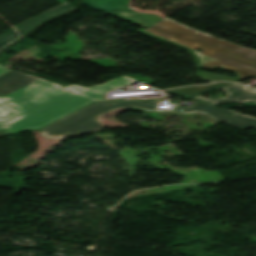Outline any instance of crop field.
Here are the masks:
<instances>
[{
	"label": "crop field",
	"instance_id": "3316defc",
	"mask_svg": "<svg viewBox=\"0 0 256 256\" xmlns=\"http://www.w3.org/2000/svg\"><path fill=\"white\" fill-rule=\"evenodd\" d=\"M6 137L4 131H0V138Z\"/></svg>",
	"mask_w": 256,
	"mask_h": 256
},
{
	"label": "crop field",
	"instance_id": "8a807250",
	"mask_svg": "<svg viewBox=\"0 0 256 256\" xmlns=\"http://www.w3.org/2000/svg\"><path fill=\"white\" fill-rule=\"evenodd\" d=\"M43 79L0 65V129H39L91 102Z\"/></svg>",
	"mask_w": 256,
	"mask_h": 256
},
{
	"label": "crop field",
	"instance_id": "5a996713",
	"mask_svg": "<svg viewBox=\"0 0 256 256\" xmlns=\"http://www.w3.org/2000/svg\"><path fill=\"white\" fill-rule=\"evenodd\" d=\"M65 88H67V89H70V90H75V89H77V88H79L78 86H68V87H65Z\"/></svg>",
	"mask_w": 256,
	"mask_h": 256
},
{
	"label": "crop field",
	"instance_id": "f4fd0767",
	"mask_svg": "<svg viewBox=\"0 0 256 256\" xmlns=\"http://www.w3.org/2000/svg\"><path fill=\"white\" fill-rule=\"evenodd\" d=\"M72 9H74V8L67 2V3L60 5L52 10H49V11L23 23V24L13 26L12 30L0 35V50L2 48H4L5 46L13 43L17 39H19L20 37H22L23 35L28 33L29 31H31L32 29H34L36 26H38L43 21H45L53 16H56L61 13L72 10Z\"/></svg>",
	"mask_w": 256,
	"mask_h": 256
},
{
	"label": "crop field",
	"instance_id": "28ad6ade",
	"mask_svg": "<svg viewBox=\"0 0 256 256\" xmlns=\"http://www.w3.org/2000/svg\"><path fill=\"white\" fill-rule=\"evenodd\" d=\"M61 3L66 2V0H59Z\"/></svg>",
	"mask_w": 256,
	"mask_h": 256
},
{
	"label": "crop field",
	"instance_id": "d8731c3e",
	"mask_svg": "<svg viewBox=\"0 0 256 256\" xmlns=\"http://www.w3.org/2000/svg\"><path fill=\"white\" fill-rule=\"evenodd\" d=\"M231 84L233 83H216L214 85H209V86L187 87L182 89L170 90L166 92L173 95H181V96L192 98V97H195V96H198V95H201L209 91L222 88Z\"/></svg>",
	"mask_w": 256,
	"mask_h": 256
},
{
	"label": "crop field",
	"instance_id": "412701ff",
	"mask_svg": "<svg viewBox=\"0 0 256 256\" xmlns=\"http://www.w3.org/2000/svg\"><path fill=\"white\" fill-rule=\"evenodd\" d=\"M128 3L129 0H83V4L145 27L163 19L158 14L133 11L128 7Z\"/></svg>",
	"mask_w": 256,
	"mask_h": 256
},
{
	"label": "crop field",
	"instance_id": "e52e79f7",
	"mask_svg": "<svg viewBox=\"0 0 256 256\" xmlns=\"http://www.w3.org/2000/svg\"><path fill=\"white\" fill-rule=\"evenodd\" d=\"M134 81L135 80L130 79L128 77H119L117 79L106 82L102 85L92 86L91 88L81 87L75 90L74 92L84 94L94 99H103L106 91L120 87V86L124 87Z\"/></svg>",
	"mask_w": 256,
	"mask_h": 256
},
{
	"label": "crop field",
	"instance_id": "ac0d7876",
	"mask_svg": "<svg viewBox=\"0 0 256 256\" xmlns=\"http://www.w3.org/2000/svg\"><path fill=\"white\" fill-rule=\"evenodd\" d=\"M142 32L191 50L197 58L199 70H224L235 73L237 78L201 72L202 77L215 81H240L242 77L256 76V50L236 45L207 35L175 22L169 18ZM201 48L203 52L195 51ZM245 75L247 77H245Z\"/></svg>",
	"mask_w": 256,
	"mask_h": 256
},
{
	"label": "crop field",
	"instance_id": "34b2d1b8",
	"mask_svg": "<svg viewBox=\"0 0 256 256\" xmlns=\"http://www.w3.org/2000/svg\"><path fill=\"white\" fill-rule=\"evenodd\" d=\"M122 107H138L148 111H170L173 113L178 111L180 114L202 112L214 118L218 122L227 120L230 121L228 124H232L242 129H246L250 126L256 128V118L244 116L231 110L211 107L200 102L190 108L175 106L174 109L160 110L158 109L155 100H144L127 102H95L40 131L46 139L75 136L99 131L102 130L99 115Z\"/></svg>",
	"mask_w": 256,
	"mask_h": 256
},
{
	"label": "crop field",
	"instance_id": "dd49c442",
	"mask_svg": "<svg viewBox=\"0 0 256 256\" xmlns=\"http://www.w3.org/2000/svg\"><path fill=\"white\" fill-rule=\"evenodd\" d=\"M228 92L227 97L221 99H208L201 96L192 98L199 101L211 103L214 105L229 103V102H256V91L246 87L234 84L221 89Z\"/></svg>",
	"mask_w": 256,
	"mask_h": 256
}]
</instances>
